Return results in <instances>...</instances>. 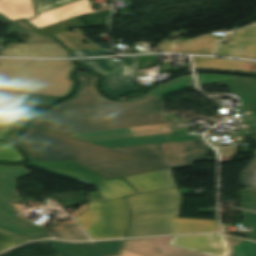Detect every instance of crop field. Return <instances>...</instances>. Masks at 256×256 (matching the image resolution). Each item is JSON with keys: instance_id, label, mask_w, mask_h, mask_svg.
Instances as JSON below:
<instances>
[{"instance_id": "733c2abd", "label": "crop field", "mask_w": 256, "mask_h": 256, "mask_svg": "<svg viewBox=\"0 0 256 256\" xmlns=\"http://www.w3.org/2000/svg\"><path fill=\"white\" fill-rule=\"evenodd\" d=\"M232 92L243 97L242 115H251L256 118V79L239 77L224 81ZM256 128V122L252 123Z\"/></svg>"}, {"instance_id": "d1516ede", "label": "crop field", "mask_w": 256, "mask_h": 256, "mask_svg": "<svg viewBox=\"0 0 256 256\" xmlns=\"http://www.w3.org/2000/svg\"><path fill=\"white\" fill-rule=\"evenodd\" d=\"M229 44H220L214 55L236 56L256 59V23L227 35Z\"/></svg>"}, {"instance_id": "b54c1fbb", "label": "crop field", "mask_w": 256, "mask_h": 256, "mask_svg": "<svg viewBox=\"0 0 256 256\" xmlns=\"http://www.w3.org/2000/svg\"><path fill=\"white\" fill-rule=\"evenodd\" d=\"M1 17V16H0Z\"/></svg>"}, {"instance_id": "8a807250", "label": "crop field", "mask_w": 256, "mask_h": 256, "mask_svg": "<svg viewBox=\"0 0 256 256\" xmlns=\"http://www.w3.org/2000/svg\"><path fill=\"white\" fill-rule=\"evenodd\" d=\"M77 78L80 83L73 98L34 117L30 126L111 149L202 138L164 131L169 125L161 98L114 102L95 89L98 76L80 73Z\"/></svg>"}, {"instance_id": "c035e120", "label": "crop field", "mask_w": 256, "mask_h": 256, "mask_svg": "<svg viewBox=\"0 0 256 256\" xmlns=\"http://www.w3.org/2000/svg\"><path fill=\"white\" fill-rule=\"evenodd\" d=\"M162 42L166 43L165 48H164L163 51L171 52L173 41H171V40H163Z\"/></svg>"}, {"instance_id": "a9b5d70f", "label": "crop field", "mask_w": 256, "mask_h": 256, "mask_svg": "<svg viewBox=\"0 0 256 256\" xmlns=\"http://www.w3.org/2000/svg\"><path fill=\"white\" fill-rule=\"evenodd\" d=\"M62 226L50 229L56 238L66 240H89L74 220L61 222Z\"/></svg>"}, {"instance_id": "dd49c442", "label": "crop field", "mask_w": 256, "mask_h": 256, "mask_svg": "<svg viewBox=\"0 0 256 256\" xmlns=\"http://www.w3.org/2000/svg\"><path fill=\"white\" fill-rule=\"evenodd\" d=\"M88 208L76 220L92 239L124 237L130 220L125 198L91 203Z\"/></svg>"}, {"instance_id": "e1f06a70", "label": "crop field", "mask_w": 256, "mask_h": 256, "mask_svg": "<svg viewBox=\"0 0 256 256\" xmlns=\"http://www.w3.org/2000/svg\"><path fill=\"white\" fill-rule=\"evenodd\" d=\"M113 53L107 49L72 51L74 57L96 56L97 54Z\"/></svg>"}, {"instance_id": "028f5c9d", "label": "crop field", "mask_w": 256, "mask_h": 256, "mask_svg": "<svg viewBox=\"0 0 256 256\" xmlns=\"http://www.w3.org/2000/svg\"><path fill=\"white\" fill-rule=\"evenodd\" d=\"M157 58H158V55L138 56L136 69L156 66Z\"/></svg>"}, {"instance_id": "03da06ac", "label": "crop field", "mask_w": 256, "mask_h": 256, "mask_svg": "<svg viewBox=\"0 0 256 256\" xmlns=\"http://www.w3.org/2000/svg\"><path fill=\"white\" fill-rule=\"evenodd\" d=\"M164 45H165V44H163V43H160V44H159L160 51H162V50H163Z\"/></svg>"}, {"instance_id": "ae1a2a85", "label": "crop field", "mask_w": 256, "mask_h": 256, "mask_svg": "<svg viewBox=\"0 0 256 256\" xmlns=\"http://www.w3.org/2000/svg\"><path fill=\"white\" fill-rule=\"evenodd\" d=\"M241 180L247 189L256 190V156L241 175Z\"/></svg>"}, {"instance_id": "730fd06b", "label": "crop field", "mask_w": 256, "mask_h": 256, "mask_svg": "<svg viewBox=\"0 0 256 256\" xmlns=\"http://www.w3.org/2000/svg\"><path fill=\"white\" fill-rule=\"evenodd\" d=\"M189 81H193L191 75L184 76V77H181L179 79L172 80V81H170V82H168L166 84L160 85L158 88H156L155 90L151 91L147 95H152V96L160 97V96H163L165 94H168V93H171L173 91H176L178 89L191 86V85H187L186 84V82H189Z\"/></svg>"}, {"instance_id": "34b2d1b8", "label": "crop field", "mask_w": 256, "mask_h": 256, "mask_svg": "<svg viewBox=\"0 0 256 256\" xmlns=\"http://www.w3.org/2000/svg\"><path fill=\"white\" fill-rule=\"evenodd\" d=\"M133 196V195H132ZM133 220L126 237L217 231V221L177 218L178 187L127 198Z\"/></svg>"}, {"instance_id": "22f410ed", "label": "crop field", "mask_w": 256, "mask_h": 256, "mask_svg": "<svg viewBox=\"0 0 256 256\" xmlns=\"http://www.w3.org/2000/svg\"><path fill=\"white\" fill-rule=\"evenodd\" d=\"M123 240L101 241L89 243H65L61 241H42L51 244L60 254L65 256H108L117 254Z\"/></svg>"}, {"instance_id": "f4fd0767", "label": "crop field", "mask_w": 256, "mask_h": 256, "mask_svg": "<svg viewBox=\"0 0 256 256\" xmlns=\"http://www.w3.org/2000/svg\"><path fill=\"white\" fill-rule=\"evenodd\" d=\"M30 173L25 167L0 165V230L31 240L51 237L41 226L22 218L11 203L21 199L15 193V180Z\"/></svg>"}, {"instance_id": "412701ff", "label": "crop field", "mask_w": 256, "mask_h": 256, "mask_svg": "<svg viewBox=\"0 0 256 256\" xmlns=\"http://www.w3.org/2000/svg\"><path fill=\"white\" fill-rule=\"evenodd\" d=\"M0 90L63 96L70 92L72 60L0 59Z\"/></svg>"}, {"instance_id": "4a817a6b", "label": "crop field", "mask_w": 256, "mask_h": 256, "mask_svg": "<svg viewBox=\"0 0 256 256\" xmlns=\"http://www.w3.org/2000/svg\"><path fill=\"white\" fill-rule=\"evenodd\" d=\"M38 166L55 172L60 175H64L67 177H71L74 179H78L84 181L86 183L95 185L103 180L104 178L99 175L93 173L92 171L74 163V162H62V163H52V164H39V163H30L25 166Z\"/></svg>"}, {"instance_id": "bc2a9ffb", "label": "crop field", "mask_w": 256, "mask_h": 256, "mask_svg": "<svg viewBox=\"0 0 256 256\" xmlns=\"http://www.w3.org/2000/svg\"><path fill=\"white\" fill-rule=\"evenodd\" d=\"M218 36L204 35L191 40H177L173 52L212 54L218 43Z\"/></svg>"}, {"instance_id": "5142ce71", "label": "crop field", "mask_w": 256, "mask_h": 256, "mask_svg": "<svg viewBox=\"0 0 256 256\" xmlns=\"http://www.w3.org/2000/svg\"><path fill=\"white\" fill-rule=\"evenodd\" d=\"M90 3L88 0H79L75 3L65 5L50 11H47L37 18L28 20L29 23L33 24L37 29L45 27L64 19L72 18L82 14L93 13Z\"/></svg>"}, {"instance_id": "c21b1889", "label": "crop field", "mask_w": 256, "mask_h": 256, "mask_svg": "<svg viewBox=\"0 0 256 256\" xmlns=\"http://www.w3.org/2000/svg\"><path fill=\"white\" fill-rule=\"evenodd\" d=\"M231 245H234L236 243H240L242 240L241 239H237V238H233V237H228Z\"/></svg>"}, {"instance_id": "5866460e", "label": "crop field", "mask_w": 256, "mask_h": 256, "mask_svg": "<svg viewBox=\"0 0 256 256\" xmlns=\"http://www.w3.org/2000/svg\"><path fill=\"white\" fill-rule=\"evenodd\" d=\"M196 76H197L198 84L239 77V76H228V75H219V74H196Z\"/></svg>"}, {"instance_id": "120bbe31", "label": "crop field", "mask_w": 256, "mask_h": 256, "mask_svg": "<svg viewBox=\"0 0 256 256\" xmlns=\"http://www.w3.org/2000/svg\"><path fill=\"white\" fill-rule=\"evenodd\" d=\"M241 208L256 211V191L242 190Z\"/></svg>"}, {"instance_id": "750c4746", "label": "crop field", "mask_w": 256, "mask_h": 256, "mask_svg": "<svg viewBox=\"0 0 256 256\" xmlns=\"http://www.w3.org/2000/svg\"><path fill=\"white\" fill-rule=\"evenodd\" d=\"M31 240L0 231V251Z\"/></svg>"}, {"instance_id": "d8731c3e", "label": "crop field", "mask_w": 256, "mask_h": 256, "mask_svg": "<svg viewBox=\"0 0 256 256\" xmlns=\"http://www.w3.org/2000/svg\"><path fill=\"white\" fill-rule=\"evenodd\" d=\"M58 98L0 91V140L12 142L34 106Z\"/></svg>"}, {"instance_id": "d9b57169", "label": "crop field", "mask_w": 256, "mask_h": 256, "mask_svg": "<svg viewBox=\"0 0 256 256\" xmlns=\"http://www.w3.org/2000/svg\"><path fill=\"white\" fill-rule=\"evenodd\" d=\"M125 179H127L139 193L177 186L171 169L127 177Z\"/></svg>"}, {"instance_id": "d3111659", "label": "crop field", "mask_w": 256, "mask_h": 256, "mask_svg": "<svg viewBox=\"0 0 256 256\" xmlns=\"http://www.w3.org/2000/svg\"><path fill=\"white\" fill-rule=\"evenodd\" d=\"M0 160L7 162L24 161L18 150L11 144L0 142Z\"/></svg>"}, {"instance_id": "ac0d7876", "label": "crop field", "mask_w": 256, "mask_h": 256, "mask_svg": "<svg viewBox=\"0 0 256 256\" xmlns=\"http://www.w3.org/2000/svg\"><path fill=\"white\" fill-rule=\"evenodd\" d=\"M31 161L74 160L107 177H126L169 167L130 154L29 127L18 142Z\"/></svg>"}, {"instance_id": "e52e79f7", "label": "crop field", "mask_w": 256, "mask_h": 256, "mask_svg": "<svg viewBox=\"0 0 256 256\" xmlns=\"http://www.w3.org/2000/svg\"><path fill=\"white\" fill-rule=\"evenodd\" d=\"M207 146L203 139H197L116 150L177 168L205 159Z\"/></svg>"}, {"instance_id": "d32e631a", "label": "crop field", "mask_w": 256, "mask_h": 256, "mask_svg": "<svg viewBox=\"0 0 256 256\" xmlns=\"http://www.w3.org/2000/svg\"><path fill=\"white\" fill-rule=\"evenodd\" d=\"M245 222L251 228L247 238L256 241V213L243 210Z\"/></svg>"}, {"instance_id": "5a996713", "label": "crop field", "mask_w": 256, "mask_h": 256, "mask_svg": "<svg viewBox=\"0 0 256 256\" xmlns=\"http://www.w3.org/2000/svg\"><path fill=\"white\" fill-rule=\"evenodd\" d=\"M87 67L104 76L102 88L110 95H120L130 91H139L141 88L132 84L137 56L124 57V60L111 58L77 60Z\"/></svg>"}, {"instance_id": "214f88e0", "label": "crop field", "mask_w": 256, "mask_h": 256, "mask_svg": "<svg viewBox=\"0 0 256 256\" xmlns=\"http://www.w3.org/2000/svg\"><path fill=\"white\" fill-rule=\"evenodd\" d=\"M0 14L13 22L36 15L33 0H0Z\"/></svg>"}, {"instance_id": "1d83c4d3", "label": "crop field", "mask_w": 256, "mask_h": 256, "mask_svg": "<svg viewBox=\"0 0 256 256\" xmlns=\"http://www.w3.org/2000/svg\"><path fill=\"white\" fill-rule=\"evenodd\" d=\"M75 1L77 0H35L38 14Z\"/></svg>"}, {"instance_id": "92a150f3", "label": "crop field", "mask_w": 256, "mask_h": 256, "mask_svg": "<svg viewBox=\"0 0 256 256\" xmlns=\"http://www.w3.org/2000/svg\"><path fill=\"white\" fill-rule=\"evenodd\" d=\"M194 66L197 69L240 71L247 62L227 59L193 57Z\"/></svg>"}, {"instance_id": "0bd39190", "label": "crop field", "mask_w": 256, "mask_h": 256, "mask_svg": "<svg viewBox=\"0 0 256 256\" xmlns=\"http://www.w3.org/2000/svg\"><path fill=\"white\" fill-rule=\"evenodd\" d=\"M222 157L224 156H233L235 151H236V147H230V148H219Z\"/></svg>"}, {"instance_id": "00972430", "label": "crop field", "mask_w": 256, "mask_h": 256, "mask_svg": "<svg viewBox=\"0 0 256 256\" xmlns=\"http://www.w3.org/2000/svg\"><path fill=\"white\" fill-rule=\"evenodd\" d=\"M75 34L66 31L59 34H53L57 37V39L61 40L65 46H67L70 50H80V49H96L102 48L101 46L90 42L84 35L81 28L72 29ZM86 40L89 44L82 45V41Z\"/></svg>"}, {"instance_id": "28ad6ade", "label": "crop field", "mask_w": 256, "mask_h": 256, "mask_svg": "<svg viewBox=\"0 0 256 256\" xmlns=\"http://www.w3.org/2000/svg\"><path fill=\"white\" fill-rule=\"evenodd\" d=\"M168 245L210 256H228L229 254V248L222 233L173 236Z\"/></svg>"}, {"instance_id": "eef30255", "label": "crop field", "mask_w": 256, "mask_h": 256, "mask_svg": "<svg viewBox=\"0 0 256 256\" xmlns=\"http://www.w3.org/2000/svg\"><path fill=\"white\" fill-rule=\"evenodd\" d=\"M74 27H86L82 22H80L77 17L64 20L62 22H59L57 24L41 28L39 29L41 32H45L48 34H53V33H59L68 29H72Z\"/></svg>"}, {"instance_id": "4177f3b9", "label": "crop field", "mask_w": 256, "mask_h": 256, "mask_svg": "<svg viewBox=\"0 0 256 256\" xmlns=\"http://www.w3.org/2000/svg\"><path fill=\"white\" fill-rule=\"evenodd\" d=\"M20 33L30 36V39L24 40L25 42H56L52 37L35 32L30 26L21 21L19 23H12L8 33Z\"/></svg>"}, {"instance_id": "cbeb9de0", "label": "crop field", "mask_w": 256, "mask_h": 256, "mask_svg": "<svg viewBox=\"0 0 256 256\" xmlns=\"http://www.w3.org/2000/svg\"><path fill=\"white\" fill-rule=\"evenodd\" d=\"M2 56L12 57H69L59 43H8Z\"/></svg>"}, {"instance_id": "3316defc", "label": "crop field", "mask_w": 256, "mask_h": 256, "mask_svg": "<svg viewBox=\"0 0 256 256\" xmlns=\"http://www.w3.org/2000/svg\"><path fill=\"white\" fill-rule=\"evenodd\" d=\"M170 237L130 239L119 256H206L166 245Z\"/></svg>"}, {"instance_id": "dafd665d", "label": "crop field", "mask_w": 256, "mask_h": 256, "mask_svg": "<svg viewBox=\"0 0 256 256\" xmlns=\"http://www.w3.org/2000/svg\"><path fill=\"white\" fill-rule=\"evenodd\" d=\"M97 186L101 189L106 200L136 193L124 179L106 180Z\"/></svg>"}, {"instance_id": "b80d0937", "label": "crop field", "mask_w": 256, "mask_h": 256, "mask_svg": "<svg viewBox=\"0 0 256 256\" xmlns=\"http://www.w3.org/2000/svg\"><path fill=\"white\" fill-rule=\"evenodd\" d=\"M241 71L256 73V63L248 62Z\"/></svg>"}, {"instance_id": "bd1437ed", "label": "crop field", "mask_w": 256, "mask_h": 256, "mask_svg": "<svg viewBox=\"0 0 256 256\" xmlns=\"http://www.w3.org/2000/svg\"><path fill=\"white\" fill-rule=\"evenodd\" d=\"M231 256H256V243L243 241L240 244L232 246Z\"/></svg>"}]
</instances>
